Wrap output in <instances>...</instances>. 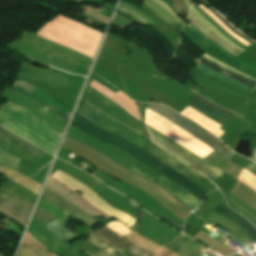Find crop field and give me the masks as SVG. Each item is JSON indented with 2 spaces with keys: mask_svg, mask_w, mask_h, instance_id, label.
<instances>
[{
  "mask_svg": "<svg viewBox=\"0 0 256 256\" xmlns=\"http://www.w3.org/2000/svg\"><path fill=\"white\" fill-rule=\"evenodd\" d=\"M74 127L102 140L107 143H110L123 151L127 154L137 158L139 161L147 164L148 166L160 171L162 174L166 175L170 179L174 180L182 187H184L187 191L193 194L196 198L200 201L205 197L208 193L205 190L198 187L196 184L191 182L189 179H186L184 176L176 172L175 170L171 169L167 165L157 161L154 157L144 152L138 146L94 125L89 120L85 119L78 113H75L73 121L71 123Z\"/></svg>",
  "mask_w": 256,
  "mask_h": 256,
  "instance_id": "8a807250",
  "label": "crop field"
},
{
  "mask_svg": "<svg viewBox=\"0 0 256 256\" xmlns=\"http://www.w3.org/2000/svg\"><path fill=\"white\" fill-rule=\"evenodd\" d=\"M0 108V123L3 126L55 154L62 134L12 102L8 101Z\"/></svg>",
  "mask_w": 256,
  "mask_h": 256,
  "instance_id": "ac0d7876",
  "label": "crop field"
},
{
  "mask_svg": "<svg viewBox=\"0 0 256 256\" xmlns=\"http://www.w3.org/2000/svg\"><path fill=\"white\" fill-rule=\"evenodd\" d=\"M76 112L82 114L87 119L95 123L96 125L122 137L125 138L139 147L143 148L147 152L154 155L159 160L163 161L164 163L168 164L169 166L173 167L177 171L181 172L188 178L195 177L199 180H207L199 173H197L194 169L190 168L186 164L182 163L175 157H173L168 152L164 151L160 147L156 146L155 144L151 143L147 138L139 135L138 133L132 131L131 129L111 120L102 112L96 110L95 108L91 107L90 105L86 104L83 101H80Z\"/></svg>",
  "mask_w": 256,
  "mask_h": 256,
  "instance_id": "34b2d1b8",
  "label": "crop field"
},
{
  "mask_svg": "<svg viewBox=\"0 0 256 256\" xmlns=\"http://www.w3.org/2000/svg\"><path fill=\"white\" fill-rule=\"evenodd\" d=\"M28 231L39 240L47 249L58 253L61 256H88L77 251L67 242L53 234L41 221L33 217ZM29 232H27L24 243L32 244L37 247L46 249L39 241H37Z\"/></svg>",
  "mask_w": 256,
  "mask_h": 256,
  "instance_id": "412701ff",
  "label": "crop field"
},
{
  "mask_svg": "<svg viewBox=\"0 0 256 256\" xmlns=\"http://www.w3.org/2000/svg\"><path fill=\"white\" fill-rule=\"evenodd\" d=\"M147 108L153 110L160 116L164 117L165 119L175 123L176 125L184 128L191 134H193L195 137L209 145L211 148L225 156L226 158H230L234 153L229 151L228 148H225V146L220 143L218 139H216L214 136H212L207 131L203 130L196 124H194L192 121L182 117L181 115L177 114L173 110L169 109L168 107L162 105V104H152L149 103Z\"/></svg>",
  "mask_w": 256,
  "mask_h": 256,
  "instance_id": "f4fd0767",
  "label": "crop field"
},
{
  "mask_svg": "<svg viewBox=\"0 0 256 256\" xmlns=\"http://www.w3.org/2000/svg\"><path fill=\"white\" fill-rule=\"evenodd\" d=\"M82 100L90 103L91 105L106 113L108 116L131 127L132 129L149 138L141 121L128 114L126 111L120 108L121 106L119 107L116 105L117 103L115 104L104 95L99 93L97 90L90 87Z\"/></svg>",
  "mask_w": 256,
  "mask_h": 256,
  "instance_id": "dd49c442",
  "label": "crop field"
},
{
  "mask_svg": "<svg viewBox=\"0 0 256 256\" xmlns=\"http://www.w3.org/2000/svg\"><path fill=\"white\" fill-rule=\"evenodd\" d=\"M51 178L55 179L56 181L62 183L63 185L67 186L71 190H82L84 195H82L85 199H87L91 204H93L96 208L106 212L111 217L117 219L121 223L125 224L126 226H131L134 222V218L131 216L120 212L110 205H108L102 198H100L97 194L87 188L84 184L78 182L77 180L73 179L72 177L66 175L61 171H57Z\"/></svg>",
  "mask_w": 256,
  "mask_h": 256,
  "instance_id": "e52e79f7",
  "label": "crop field"
},
{
  "mask_svg": "<svg viewBox=\"0 0 256 256\" xmlns=\"http://www.w3.org/2000/svg\"><path fill=\"white\" fill-rule=\"evenodd\" d=\"M146 129L148 131H150L151 133H153L154 135L158 136L159 138L163 139L164 141H166L167 143L171 144L172 146H174L175 148H177L178 150L182 151L183 153L187 154L188 156L192 157L193 159L197 160L198 162L202 163L203 165L207 166L208 168H210L211 170L215 171L216 173H218L219 175H223V171L215 168L214 166L210 165L209 163L205 162L204 160L200 159L199 157L195 156L194 154H192L191 152L187 151L186 149H184L183 147L179 146L178 144H176L175 142H173L172 140L168 139L167 137H165L164 135L158 133L157 131L149 128L146 126ZM150 134V137L152 139V141H154L155 143H157L158 145L162 146L163 148H165L166 150L170 151L171 153H173L174 155H176L178 158H180L182 161H184L185 163L193 166L194 168H196L198 171H200L202 174H204L206 177H208L209 179H213L216 177H220L218 174L214 173L213 171H211L210 169L206 168L205 166H203L202 164L198 163L197 161L193 160L192 158L188 157L187 155L183 154L182 152L178 151L177 149H175L174 147L170 146L169 144H167L166 142H164L163 140L159 139L158 137L154 136L153 134Z\"/></svg>",
  "mask_w": 256,
  "mask_h": 256,
  "instance_id": "d8731c3e",
  "label": "crop field"
},
{
  "mask_svg": "<svg viewBox=\"0 0 256 256\" xmlns=\"http://www.w3.org/2000/svg\"><path fill=\"white\" fill-rule=\"evenodd\" d=\"M29 85L20 80H16L13 85V90L29 95L30 97L34 98L38 102L42 103L43 105L54 111L64 120L68 121L70 113L72 111L71 109H69L59 101L55 100L54 98L46 95L45 93L33 88L34 86L31 87L32 85Z\"/></svg>",
  "mask_w": 256,
  "mask_h": 256,
  "instance_id": "5a996713",
  "label": "crop field"
},
{
  "mask_svg": "<svg viewBox=\"0 0 256 256\" xmlns=\"http://www.w3.org/2000/svg\"><path fill=\"white\" fill-rule=\"evenodd\" d=\"M129 170L159 184L161 187H163L165 190H167L173 196L178 198L181 202H183L187 207H189L192 210L197 208L201 203L194 196H192L190 193H188L185 189H183L181 186H179L175 182L171 181L164 175L158 179V178H156V177H154V176H152L134 166L131 167Z\"/></svg>",
  "mask_w": 256,
  "mask_h": 256,
  "instance_id": "3316defc",
  "label": "crop field"
},
{
  "mask_svg": "<svg viewBox=\"0 0 256 256\" xmlns=\"http://www.w3.org/2000/svg\"><path fill=\"white\" fill-rule=\"evenodd\" d=\"M41 197L47 199L51 203L55 204L56 206L60 207L61 209L65 210L67 213L71 214L87 226L91 227L97 223H99L97 220L93 219L89 215L85 214L82 210L75 207L71 203H69L67 200H65L63 197H61L59 194L44 188L43 193ZM70 211L75 212V214H72Z\"/></svg>",
  "mask_w": 256,
  "mask_h": 256,
  "instance_id": "28ad6ade",
  "label": "crop field"
},
{
  "mask_svg": "<svg viewBox=\"0 0 256 256\" xmlns=\"http://www.w3.org/2000/svg\"><path fill=\"white\" fill-rule=\"evenodd\" d=\"M95 233L99 234L100 236L105 238L110 243L125 250L124 246L122 245V241H124V245L127 247V251L136 256H151L152 255V253H150L142 248H139V247L123 240L122 238L118 237L117 235L112 233L110 230H108L106 227L95 232Z\"/></svg>",
  "mask_w": 256,
  "mask_h": 256,
  "instance_id": "d1516ede",
  "label": "crop field"
},
{
  "mask_svg": "<svg viewBox=\"0 0 256 256\" xmlns=\"http://www.w3.org/2000/svg\"><path fill=\"white\" fill-rule=\"evenodd\" d=\"M214 212L231 219L237 225L242 227L254 242L256 241V229L245 218L221 204H218Z\"/></svg>",
  "mask_w": 256,
  "mask_h": 256,
  "instance_id": "22f410ed",
  "label": "crop field"
},
{
  "mask_svg": "<svg viewBox=\"0 0 256 256\" xmlns=\"http://www.w3.org/2000/svg\"><path fill=\"white\" fill-rule=\"evenodd\" d=\"M0 212L12 218L23 227H25L27 219L30 215V213H28L24 209L20 208L19 206L1 197H0Z\"/></svg>",
  "mask_w": 256,
  "mask_h": 256,
  "instance_id": "cbeb9de0",
  "label": "crop field"
},
{
  "mask_svg": "<svg viewBox=\"0 0 256 256\" xmlns=\"http://www.w3.org/2000/svg\"><path fill=\"white\" fill-rule=\"evenodd\" d=\"M194 98L191 96L189 97V105L194 107L195 109L199 110L200 112L204 113L205 115L209 116L211 120L223 125L231 119V117H229L223 113H220L219 111L211 108L210 106H208Z\"/></svg>",
  "mask_w": 256,
  "mask_h": 256,
  "instance_id": "5142ce71",
  "label": "crop field"
},
{
  "mask_svg": "<svg viewBox=\"0 0 256 256\" xmlns=\"http://www.w3.org/2000/svg\"><path fill=\"white\" fill-rule=\"evenodd\" d=\"M189 17L192 19L190 22L192 25H194L200 32H202L205 36L213 40L219 46H221L222 48H224L225 50H227L235 56L241 53L232 46L228 45L218 36H216L203 22L199 21L192 13H190Z\"/></svg>",
  "mask_w": 256,
  "mask_h": 256,
  "instance_id": "d9b57169",
  "label": "crop field"
},
{
  "mask_svg": "<svg viewBox=\"0 0 256 256\" xmlns=\"http://www.w3.org/2000/svg\"><path fill=\"white\" fill-rule=\"evenodd\" d=\"M0 135L10 139L11 141H13L14 143H16L17 145L21 146L22 148H24L25 150H27L28 152H30L35 158H39L41 157L43 154H45L46 152L38 149L37 147H35L34 145H32L30 142H28L27 140L21 138L20 136L8 131L7 129L1 127L0 128ZM29 153V154H30Z\"/></svg>",
  "mask_w": 256,
  "mask_h": 256,
  "instance_id": "733c2abd",
  "label": "crop field"
},
{
  "mask_svg": "<svg viewBox=\"0 0 256 256\" xmlns=\"http://www.w3.org/2000/svg\"><path fill=\"white\" fill-rule=\"evenodd\" d=\"M199 63L204 65V66H206V67H208V68H210V69H212V70H214V71H216V72H218V73H220V74H222V75H224V76H226V77H228V78L234 79V80H236V81H238V82H240L242 84L251 86L253 88L256 86L255 82H252V81H250V80H248V79H246V78H244V77H242L240 75H237V74H235L233 72H230V71H228V70H226V69H224V68H222V67H220V66H218V65H216V64H214V63H212V62H210L208 60H206L203 57L200 58V62ZM250 83H252V84H250Z\"/></svg>",
  "mask_w": 256,
  "mask_h": 256,
  "instance_id": "4a817a6b",
  "label": "crop field"
},
{
  "mask_svg": "<svg viewBox=\"0 0 256 256\" xmlns=\"http://www.w3.org/2000/svg\"><path fill=\"white\" fill-rule=\"evenodd\" d=\"M52 232H54L57 236L61 237L68 243L75 240L79 236L74 233L67 226L63 225L58 219L46 225Z\"/></svg>",
  "mask_w": 256,
  "mask_h": 256,
  "instance_id": "bc2a9ffb",
  "label": "crop field"
},
{
  "mask_svg": "<svg viewBox=\"0 0 256 256\" xmlns=\"http://www.w3.org/2000/svg\"><path fill=\"white\" fill-rule=\"evenodd\" d=\"M0 196L8 199L12 202H14L15 204L19 205L20 207L24 208L25 210H27L28 212H31L34 204H32L31 202L21 198L20 196H18L16 193H14L13 191L3 187L0 190Z\"/></svg>",
  "mask_w": 256,
  "mask_h": 256,
  "instance_id": "214f88e0",
  "label": "crop field"
},
{
  "mask_svg": "<svg viewBox=\"0 0 256 256\" xmlns=\"http://www.w3.org/2000/svg\"><path fill=\"white\" fill-rule=\"evenodd\" d=\"M88 241L95 244L101 250L107 252L108 254H110L112 256H114L116 253H119L122 251L95 233H90V237H89Z\"/></svg>",
  "mask_w": 256,
  "mask_h": 256,
  "instance_id": "92a150f3",
  "label": "crop field"
},
{
  "mask_svg": "<svg viewBox=\"0 0 256 256\" xmlns=\"http://www.w3.org/2000/svg\"><path fill=\"white\" fill-rule=\"evenodd\" d=\"M37 206L51 213L63 223H65L66 220L69 218V215L66 212L62 211L61 209L57 208L56 206L42 198L40 199Z\"/></svg>",
  "mask_w": 256,
  "mask_h": 256,
  "instance_id": "dafd665d",
  "label": "crop field"
},
{
  "mask_svg": "<svg viewBox=\"0 0 256 256\" xmlns=\"http://www.w3.org/2000/svg\"><path fill=\"white\" fill-rule=\"evenodd\" d=\"M20 250L24 251L25 253H27L30 256H56L50 252L41 250L37 247L31 246V245H27L22 243ZM18 252L17 256H28L27 254H25L24 252L20 251Z\"/></svg>",
  "mask_w": 256,
  "mask_h": 256,
  "instance_id": "00972430",
  "label": "crop field"
},
{
  "mask_svg": "<svg viewBox=\"0 0 256 256\" xmlns=\"http://www.w3.org/2000/svg\"><path fill=\"white\" fill-rule=\"evenodd\" d=\"M190 29H192L199 37H201L202 39H204L205 41H207L209 44H211L213 47H215L216 49H218L219 51L223 52L224 54H226L227 56H229L230 58H232L233 60H235L236 62H239L253 70L256 71V68L253 66H250L244 62H242L241 60L237 59L236 57H234L233 55L229 54L228 52H226L224 49H222L221 47H219L218 45H216L214 42H212L210 39H208L207 37H205L203 34H201L199 31H197L190 23L187 25Z\"/></svg>",
  "mask_w": 256,
  "mask_h": 256,
  "instance_id": "a9b5d70f",
  "label": "crop field"
},
{
  "mask_svg": "<svg viewBox=\"0 0 256 256\" xmlns=\"http://www.w3.org/2000/svg\"><path fill=\"white\" fill-rule=\"evenodd\" d=\"M0 164L11 167L18 171L19 159L0 149Z\"/></svg>",
  "mask_w": 256,
  "mask_h": 256,
  "instance_id": "4177f3b9",
  "label": "crop field"
},
{
  "mask_svg": "<svg viewBox=\"0 0 256 256\" xmlns=\"http://www.w3.org/2000/svg\"><path fill=\"white\" fill-rule=\"evenodd\" d=\"M191 12L201 21H203L215 34H217L220 38H222L224 41L229 43L230 45L238 48L241 52L244 51L231 41H229L227 38H225L220 31H218L211 23H209L202 15H200L193 7L191 9Z\"/></svg>",
  "mask_w": 256,
  "mask_h": 256,
  "instance_id": "730fd06b",
  "label": "crop field"
},
{
  "mask_svg": "<svg viewBox=\"0 0 256 256\" xmlns=\"http://www.w3.org/2000/svg\"><path fill=\"white\" fill-rule=\"evenodd\" d=\"M195 9L201 13L207 20H209L216 28H218L224 35H226L228 38H230L233 42H235L237 45H239L243 49H247L246 46H244L242 43H240L238 40H236L234 37L226 33L212 18H210L200 7H198L196 4L193 5ZM229 39V40H230Z\"/></svg>",
  "mask_w": 256,
  "mask_h": 256,
  "instance_id": "eef30255",
  "label": "crop field"
},
{
  "mask_svg": "<svg viewBox=\"0 0 256 256\" xmlns=\"http://www.w3.org/2000/svg\"><path fill=\"white\" fill-rule=\"evenodd\" d=\"M34 216H36L38 219H40L45 224L57 219L54 216H52L51 214H49L39 208H36Z\"/></svg>",
  "mask_w": 256,
  "mask_h": 256,
  "instance_id": "ae1a2a85",
  "label": "crop field"
},
{
  "mask_svg": "<svg viewBox=\"0 0 256 256\" xmlns=\"http://www.w3.org/2000/svg\"><path fill=\"white\" fill-rule=\"evenodd\" d=\"M184 28H185L190 34H192L198 41H200L203 45H205L207 48H209V49H211V50L217 52L218 54H220L221 56L225 57L226 59H228V60L231 61L232 63H234V64H236V65H238V66H240V67L243 66V65H241V64H238V63L232 61V60L229 59L227 56H225L223 53H221V52L217 51L216 49L212 48L209 44H207L204 40H202V39L199 38L194 32H192L186 25L184 26Z\"/></svg>",
  "mask_w": 256,
  "mask_h": 256,
  "instance_id": "d3111659",
  "label": "crop field"
},
{
  "mask_svg": "<svg viewBox=\"0 0 256 256\" xmlns=\"http://www.w3.org/2000/svg\"><path fill=\"white\" fill-rule=\"evenodd\" d=\"M190 89L193 90L194 92H196L198 95H200V96L203 97L204 99L208 100L209 102H211V103H213V104H215V105H217V106H219V107H221V108H223V109H226V110H228V111H230V112H233V113H235V114H237V115H239V116H241V117L247 119V117H246L245 115H243V114H241V113H239V112H237V111H234V110H232V109H230V108H228V107H225V106H223V105H221V104L215 102V101L212 100L211 98H209V97H207V96H205V95L199 93L198 91H196V90L193 89V88H190ZM247 120H248V119H247Z\"/></svg>",
  "mask_w": 256,
  "mask_h": 256,
  "instance_id": "750c4746",
  "label": "crop field"
},
{
  "mask_svg": "<svg viewBox=\"0 0 256 256\" xmlns=\"http://www.w3.org/2000/svg\"><path fill=\"white\" fill-rule=\"evenodd\" d=\"M215 16H217L231 31H233L235 34L243 38L244 40L248 41L249 43L256 46V43L250 40L248 37L238 33L235 29H233L222 17H220L212 8L209 9Z\"/></svg>",
  "mask_w": 256,
  "mask_h": 256,
  "instance_id": "bd1437ed",
  "label": "crop field"
},
{
  "mask_svg": "<svg viewBox=\"0 0 256 256\" xmlns=\"http://www.w3.org/2000/svg\"><path fill=\"white\" fill-rule=\"evenodd\" d=\"M148 3H150L152 6L157 8L162 14H164L166 17H168L173 23H179L177 19H175L171 14H169L165 9H163L161 6H159L157 3H155L152 0H144Z\"/></svg>",
  "mask_w": 256,
  "mask_h": 256,
  "instance_id": "1d83c4d3",
  "label": "crop field"
},
{
  "mask_svg": "<svg viewBox=\"0 0 256 256\" xmlns=\"http://www.w3.org/2000/svg\"><path fill=\"white\" fill-rule=\"evenodd\" d=\"M204 57L206 58V59H208V60H210V61H212V62H214V63H216V64H218V65H220V66H222V67H224V68H226V69H228V70H231V71H233V72H235V73H238V74H240V75H242V76H245V77H247V78H249V79H251V80H253V81H255L256 82V79H254V78H252V77H249V76H247V75H245V74H243V73H240V72H238V71H236V70H234V69H231V68H229V67H227V66H225V65H223V64H221V63H219L218 61H216V60H214L213 58H211L210 56H208V55H204Z\"/></svg>",
  "mask_w": 256,
  "mask_h": 256,
  "instance_id": "120bbe31",
  "label": "crop field"
},
{
  "mask_svg": "<svg viewBox=\"0 0 256 256\" xmlns=\"http://www.w3.org/2000/svg\"><path fill=\"white\" fill-rule=\"evenodd\" d=\"M240 166H242L243 168H245L246 170H248L249 172L256 176V163L248 160Z\"/></svg>",
  "mask_w": 256,
  "mask_h": 256,
  "instance_id": "d32e631a",
  "label": "crop field"
},
{
  "mask_svg": "<svg viewBox=\"0 0 256 256\" xmlns=\"http://www.w3.org/2000/svg\"><path fill=\"white\" fill-rule=\"evenodd\" d=\"M118 11L124 12V13H126V14L132 16L133 18H135L136 20H138V21L141 22V23H146L143 19H141V18H140L139 16H137L135 13H133V12H131V11L125 9V8L119 7V8H118Z\"/></svg>",
  "mask_w": 256,
  "mask_h": 256,
  "instance_id": "5866460e",
  "label": "crop field"
},
{
  "mask_svg": "<svg viewBox=\"0 0 256 256\" xmlns=\"http://www.w3.org/2000/svg\"><path fill=\"white\" fill-rule=\"evenodd\" d=\"M158 4H160L163 8H165L169 13H171L174 17H176L181 23H183V21L172 11V9L166 5L164 2H162L161 0H155Z\"/></svg>",
  "mask_w": 256,
  "mask_h": 256,
  "instance_id": "028f5c9d",
  "label": "crop field"
},
{
  "mask_svg": "<svg viewBox=\"0 0 256 256\" xmlns=\"http://www.w3.org/2000/svg\"><path fill=\"white\" fill-rule=\"evenodd\" d=\"M147 8H149L151 11H153L154 13H156L158 16H160L166 23H170L171 21L169 19H167L165 16H163L159 11H157L156 9H154L150 4L144 2V4Z\"/></svg>",
  "mask_w": 256,
  "mask_h": 256,
  "instance_id": "e1f06a70",
  "label": "crop field"
},
{
  "mask_svg": "<svg viewBox=\"0 0 256 256\" xmlns=\"http://www.w3.org/2000/svg\"><path fill=\"white\" fill-rule=\"evenodd\" d=\"M175 6L178 8V10L181 12L182 8L184 9V11L187 13L188 9L186 7V5L184 4L183 0H171Z\"/></svg>",
  "mask_w": 256,
  "mask_h": 256,
  "instance_id": "0bd39190",
  "label": "crop field"
},
{
  "mask_svg": "<svg viewBox=\"0 0 256 256\" xmlns=\"http://www.w3.org/2000/svg\"><path fill=\"white\" fill-rule=\"evenodd\" d=\"M121 7H125L127 9H130L132 11H134L136 14H138L141 18H143L145 21L149 22V23H153L150 19H148L146 16H144L143 14H141L140 12H138L137 10L133 9L130 6L124 5V4H120Z\"/></svg>",
  "mask_w": 256,
  "mask_h": 256,
  "instance_id": "b80d0937",
  "label": "crop field"
},
{
  "mask_svg": "<svg viewBox=\"0 0 256 256\" xmlns=\"http://www.w3.org/2000/svg\"><path fill=\"white\" fill-rule=\"evenodd\" d=\"M9 140L0 136V148L7 151L9 146Z\"/></svg>",
  "mask_w": 256,
  "mask_h": 256,
  "instance_id": "c035e120",
  "label": "crop field"
},
{
  "mask_svg": "<svg viewBox=\"0 0 256 256\" xmlns=\"http://www.w3.org/2000/svg\"><path fill=\"white\" fill-rule=\"evenodd\" d=\"M198 67H200V68H202V69H204V70H206V71H209V72H211V73H213V74H216V75H218V76H220V77H222V78H225V79H227V80H229V81H231V82H234V83H236V84H238V85H240V86H242V87L248 89L247 86L242 85V84H240V83H238V82H235V81H233V80H231V79H228V78H226V77H223V76H221V75H219V74H217V73H215V72H213V71H211V70H209V69H207V68H205V67H203V66H201V65H198Z\"/></svg>",
  "mask_w": 256,
  "mask_h": 256,
  "instance_id": "c21b1889",
  "label": "crop field"
},
{
  "mask_svg": "<svg viewBox=\"0 0 256 256\" xmlns=\"http://www.w3.org/2000/svg\"><path fill=\"white\" fill-rule=\"evenodd\" d=\"M195 97H197V98H199L200 100L206 102L207 104L211 105L212 107L216 108L217 110H219V111H221V112H223V113H225V114H227V115H229V116L231 115V113H229V112H227V111H225V110H223V109H221V108H219V107L214 106L213 104L207 102L206 100H204V99L201 98L200 96L197 95V96H195Z\"/></svg>",
  "mask_w": 256,
  "mask_h": 256,
  "instance_id": "03da06ac",
  "label": "crop field"
},
{
  "mask_svg": "<svg viewBox=\"0 0 256 256\" xmlns=\"http://www.w3.org/2000/svg\"><path fill=\"white\" fill-rule=\"evenodd\" d=\"M91 256H108L106 254H104L103 252L99 251V250H96V251H87L85 252Z\"/></svg>",
  "mask_w": 256,
  "mask_h": 256,
  "instance_id": "b54c1fbb",
  "label": "crop field"
},
{
  "mask_svg": "<svg viewBox=\"0 0 256 256\" xmlns=\"http://www.w3.org/2000/svg\"><path fill=\"white\" fill-rule=\"evenodd\" d=\"M86 242H87V241L82 240V241H79L78 243H74V244H72V245L78 249L79 247H81V246H82L83 244H85Z\"/></svg>",
  "mask_w": 256,
  "mask_h": 256,
  "instance_id": "5d738f31",
  "label": "crop field"
},
{
  "mask_svg": "<svg viewBox=\"0 0 256 256\" xmlns=\"http://www.w3.org/2000/svg\"><path fill=\"white\" fill-rule=\"evenodd\" d=\"M164 2L168 3L170 5V7L173 9V11L178 14L177 10L174 8V6L172 5L173 3L170 0H163Z\"/></svg>",
  "mask_w": 256,
  "mask_h": 256,
  "instance_id": "d23c7cc5",
  "label": "crop field"
},
{
  "mask_svg": "<svg viewBox=\"0 0 256 256\" xmlns=\"http://www.w3.org/2000/svg\"><path fill=\"white\" fill-rule=\"evenodd\" d=\"M181 114H183L184 116H186V117H188V118L194 120L193 118L189 117L188 115H186V114H184V113H181ZM194 121H196V120H194ZM196 122H197V123H200V122H198V121H196Z\"/></svg>",
  "mask_w": 256,
  "mask_h": 256,
  "instance_id": "425ffa30",
  "label": "crop field"
},
{
  "mask_svg": "<svg viewBox=\"0 0 256 256\" xmlns=\"http://www.w3.org/2000/svg\"><path fill=\"white\" fill-rule=\"evenodd\" d=\"M185 4L188 6V8L190 7V3L188 0H184Z\"/></svg>",
  "mask_w": 256,
  "mask_h": 256,
  "instance_id": "25e5ab78",
  "label": "crop field"
},
{
  "mask_svg": "<svg viewBox=\"0 0 256 256\" xmlns=\"http://www.w3.org/2000/svg\"><path fill=\"white\" fill-rule=\"evenodd\" d=\"M191 4L194 3L193 0H190Z\"/></svg>",
  "mask_w": 256,
  "mask_h": 256,
  "instance_id": "73cf0c24",
  "label": "crop field"
},
{
  "mask_svg": "<svg viewBox=\"0 0 256 256\" xmlns=\"http://www.w3.org/2000/svg\"><path fill=\"white\" fill-rule=\"evenodd\" d=\"M0 256H2V255H0Z\"/></svg>",
  "mask_w": 256,
  "mask_h": 256,
  "instance_id": "89e229c0",
  "label": "crop field"
}]
</instances>
